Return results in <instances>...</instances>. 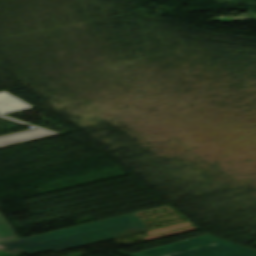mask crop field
I'll use <instances>...</instances> for the list:
<instances>
[{"instance_id": "1", "label": "crop field", "mask_w": 256, "mask_h": 256, "mask_svg": "<svg viewBox=\"0 0 256 256\" xmlns=\"http://www.w3.org/2000/svg\"><path fill=\"white\" fill-rule=\"evenodd\" d=\"M149 228L134 214L96 223L0 243L1 249L34 254L46 250L56 252L93 244Z\"/></svg>"}, {"instance_id": "2", "label": "crop field", "mask_w": 256, "mask_h": 256, "mask_svg": "<svg viewBox=\"0 0 256 256\" xmlns=\"http://www.w3.org/2000/svg\"><path fill=\"white\" fill-rule=\"evenodd\" d=\"M221 241H225V240H221L212 235H208V236H202L195 239L175 243L172 245H168V246H164V247H160V248H156L148 251L134 253L131 256H165V255L170 256L172 254L209 246L210 244H213V243L217 244Z\"/></svg>"}, {"instance_id": "3", "label": "crop field", "mask_w": 256, "mask_h": 256, "mask_svg": "<svg viewBox=\"0 0 256 256\" xmlns=\"http://www.w3.org/2000/svg\"><path fill=\"white\" fill-rule=\"evenodd\" d=\"M172 256H256V250L225 241L215 246Z\"/></svg>"}, {"instance_id": "4", "label": "crop field", "mask_w": 256, "mask_h": 256, "mask_svg": "<svg viewBox=\"0 0 256 256\" xmlns=\"http://www.w3.org/2000/svg\"><path fill=\"white\" fill-rule=\"evenodd\" d=\"M0 117L7 119V120L17 122V123H21L24 125L33 126V125H30V124H27V123H24V122L15 120V119H11V118H8V117L2 116V115H0ZM33 127L37 128L36 126H33ZM53 135H58V134L48 131V130H45V129H42V128H39V129L32 130V131H27V132L13 134V135L5 136V137H0V148L18 144V143L31 141V140H35V139H39V138L49 137V136H53Z\"/></svg>"}, {"instance_id": "5", "label": "crop field", "mask_w": 256, "mask_h": 256, "mask_svg": "<svg viewBox=\"0 0 256 256\" xmlns=\"http://www.w3.org/2000/svg\"><path fill=\"white\" fill-rule=\"evenodd\" d=\"M28 108H32V106L6 92L0 93V113L6 114Z\"/></svg>"}, {"instance_id": "6", "label": "crop field", "mask_w": 256, "mask_h": 256, "mask_svg": "<svg viewBox=\"0 0 256 256\" xmlns=\"http://www.w3.org/2000/svg\"><path fill=\"white\" fill-rule=\"evenodd\" d=\"M17 237L5 223L3 218L0 215V242L16 240Z\"/></svg>"}]
</instances>
